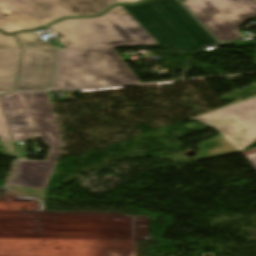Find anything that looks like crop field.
Listing matches in <instances>:
<instances>
[{
  "mask_svg": "<svg viewBox=\"0 0 256 256\" xmlns=\"http://www.w3.org/2000/svg\"><path fill=\"white\" fill-rule=\"evenodd\" d=\"M67 49H60L52 89L141 83L113 47L157 45L121 7L97 18L65 19L51 25Z\"/></svg>",
  "mask_w": 256,
  "mask_h": 256,
  "instance_id": "8a807250",
  "label": "crop field"
},
{
  "mask_svg": "<svg viewBox=\"0 0 256 256\" xmlns=\"http://www.w3.org/2000/svg\"><path fill=\"white\" fill-rule=\"evenodd\" d=\"M180 4L177 0H148L139 5L122 7L166 51H184L217 44Z\"/></svg>",
  "mask_w": 256,
  "mask_h": 256,
  "instance_id": "ac0d7876",
  "label": "crop field"
},
{
  "mask_svg": "<svg viewBox=\"0 0 256 256\" xmlns=\"http://www.w3.org/2000/svg\"><path fill=\"white\" fill-rule=\"evenodd\" d=\"M23 52L15 90L49 89L57 48L34 32L16 34ZM21 47L0 32V91L13 90Z\"/></svg>",
  "mask_w": 256,
  "mask_h": 256,
  "instance_id": "34b2d1b8",
  "label": "crop field"
},
{
  "mask_svg": "<svg viewBox=\"0 0 256 256\" xmlns=\"http://www.w3.org/2000/svg\"><path fill=\"white\" fill-rule=\"evenodd\" d=\"M1 105L12 141L25 140L38 132L50 147L46 161H56L62 144L53 119L46 92L6 93L0 95Z\"/></svg>",
  "mask_w": 256,
  "mask_h": 256,
  "instance_id": "412701ff",
  "label": "crop field"
},
{
  "mask_svg": "<svg viewBox=\"0 0 256 256\" xmlns=\"http://www.w3.org/2000/svg\"><path fill=\"white\" fill-rule=\"evenodd\" d=\"M183 4L221 42L240 38L239 28L256 17L255 0H186Z\"/></svg>",
  "mask_w": 256,
  "mask_h": 256,
  "instance_id": "f4fd0767",
  "label": "crop field"
},
{
  "mask_svg": "<svg viewBox=\"0 0 256 256\" xmlns=\"http://www.w3.org/2000/svg\"><path fill=\"white\" fill-rule=\"evenodd\" d=\"M194 119L219 132L240 151L256 141V98Z\"/></svg>",
  "mask_w": 256,
  "mask_h": 256,
  "instance_id": "dd49c442",
  "label": "crop field"
},
{
  "mask_svg": "<svg viewBox=\"0 0 256 256\" xmlns=\"http://www.w3.org/2000/svg\"><path fill=\"white\" fill-rule=\"evenodd\" d=\"M115 0H0V11L30 9L45 24L66 16H91L104 12Z\"/></svg>",
  "mask_w": 256,
  "mask_h": 256,
  "instance_id": "e52e79f7",
  "label": "crop field"
},
{
  "mask_svg": "<svg viewBox=\"0 0 256 256\" xmlns=\"http://www.w3.org/2000/svg\"><path fill=\"white\" fill-rule=\"evenodd\" d=\"M17 178L7 181V186L45 188L56 162H36L18 159Z\"/></svg>",
  "mask_w": 256,
  "mask_h": 256,
  "instance_id": "d8731c3e",
  "label": "crop field"
},
{
  "mask_svg": "<svg viewBox=\"0 0 256 256\" xmlns=\"http://www.w3.org/2000/svg\"><path fill=\"white\" fill-rule=\"evenodd\" d=\"M43 24L30 10L15 11L13 14L0 13V30L12 33L19 30L39 28Z\"/></svg>",
  "mask_w": 256,
  "mask_h": 256,
  "instance_id": "5a996713",
  "label": "crop field"
},
{
  "mask_svg": "<svg viewBox=\"0 0 256 256\" xmlns=\"http://www.w3.org/2000/svg\"><path fill=\"white\" fill-rule=\"evenodd\" d=\"M0 138L2 141H10L9 140V136H8V132L6 129V125L3 119V115L1 112V108H0Z\"/></svg>",
  "mask_w": 256,
  "mask_h": 256,
  "instance_id": "3316defc",
  "label": "crop field"
},
{
  "mask_svg": "<svg viewBox=\"0 0 256 256\" xmlns=\"http://www.w3.org/2000/svg\"><path fill=\"white\" fill-rule=\"evenodd\" d=\"M245 158L248 160V162L256 169V153L247 155Z\"/></svg>",
  "mask_w": 256,
  "mask_h": 256,
  "instance_id": "28ad6ade",
  "label": "crop field"
},
{
  "mask_svg": "<svg viewBox=\"0 0 256 256\" xmlns=\"http://www.w3.org/2000/svg\"><path fill=\"white\" fill-rule=\"evenodd\" d=\"M118 3H134L140 0H116Z\"/></svg>",
  "mask_w": 256,
  "mask_h": 256,
  "instance_id": "d1516ede",
  "label": "crop field"
}]
</instances>
